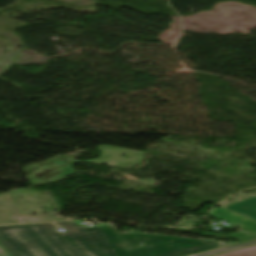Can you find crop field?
I'll return each mask as SVG.
<instances>
[{
    "label": "crop field",
    "mask_w": 256,
    "mask_h": 256,
    "mask_svg": "<svg viewBox=\"0 0 256 256\" xmlns=\"http://www.w3.org/2000/svg\"><path fill=\"white\" fill-rule=\"evenodd\" d=\"M0 227V243L13 256H117L101 227H80L74 221Z\"/></svg>",
    "instance_id": "crop-field-1"
},
{
    "label": "crop field",
    "mask_w": 256,
    "mask_h": 256,
    "mask_svg": "<svg viewBox=\"0 0 256 256\" xmlns=\"http://www.w3.org/2000/svg\"><path fill=\"white\" fill-rule=\"evenodd\" d=\"M220 256H256V246L238 250L231 253H227Z\"/></svg>",
    "instance_id": "crop-field-8"
},
{
    "label": "crop field",
    "mask_w": 256,
    "mask_h": 256,
    "mask_svg": "<svg viewBox=\"0 0 256 256\" xmlns=\"http://www.w3.org/2000/svg\"><path fill=\"white\" fill-rule=\"evenodd\" d=\"M20 217L9 194H0V224L62 220L54 215Z\"/></svg>",
    "instance_id": "crop-field-5"
},
{
    "label": "crop field",
    "mask_w": 256,
    "mask_h": 256,
    "mask_svg": "<svg viewBox=\"0 0 256 256\" xmlns=\"http://www.w3.org/2000/svg\"><path fill=\"white\" fill-rule=\"evenodd\" d=\"M103 229L118 256H183L223 246L215 241L203 243V240L145 233L119 234L114 225Z\"/></svg>",
    "instance_id": "crop-field-2"
},
{
    "label": "crop field",
    "mask_w": 256,
    "mask_h": 256,
    "mask_svg": "<svg viewBox=\"0 0 256 256\" xmlns=\"http://www.w3.org/2000/svg\"><path fill=\"white\" fill-rule=\"evenodd\" d=\"M0 256H12V255L0 244Z\"/></svg>",
    "instance_id": "crop-field-9"
},
{
    "label": "crop field",
    "mask_w": 256,
    "mask_h": 256,
    "mask_svg": "<svg viewBox=\"0 0 256 256\" xmlns=\"http://www.w3.org/2000/svg\"><path fill=\"white\" fill-rule=\"evenodd\" d=\"M226 209L236 212L238 214L243 213L249 218L256 221V198L244 200L234 205L226 207Z\"/></svg>",
    "instance_id": "crop-field-7"
},
{
    "label": "crop field",
    "mask_w": 256,
    "mask_h": 256,
    "mask_svg": "<svg viewBox=\"0 0 256 256\" xmlns=\"http://www.w3.org/2000/svg\"><path fill=\"white\" fill-rule=\"evenodd\" d=\"M98 150L103 153L102 160H90L91 162L131 168L144 160V152L142 151L107 146H99ZM122 154L126 157L121 156Z\"/></svg>",
    "instance_id": "crop-field-3"
},
{
    "label": "crop field",
    "mask_w": 256,
    "mask_h": 256,
    "mask_svg": "<svg viewBox=\"0 0 256 256\" xmlns=\"http://www.w3.org/2000/svg\"><path fill=\"white\" fill-rule=\"evenodd\" d=\"M210 215L215 216L217 218H220L222 220H225L227 222L232 223V226H235L237 228L246 230L250 233H252L250 236L240 232L234 235H230L229 237H232L234 239L245 241L249 239L256 238V222L248 219L242 215H238L236 213H233L231 211H228L224 208H215Z\"/></svg>",
    "instance_id": "crop-field-4"
},
{
    "label": "crop field",
    "mask_w": 256,
    "mask_h": 256,
    "mask_svg": "<svg viewBox=\"0 0 256 256\" xmlns=\"http://www.w3.org/2000/svg\"><path fill=\"white\" fill-rule=\"evenodd\" d=\"M56 162L59 164L52 168L46 167V166L39 167L40 170L33 172L36 174L32 176L40 180H45V179H56L63 175L75 173V171L72 170L71 165L76 163L77 161H73L69 164L63 163L61 160H58Z\"/></svg>",
    "instance_id": "crop-field-6"
}]
</instances>
